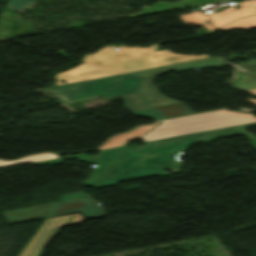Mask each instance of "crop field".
<instances>
[{"mask_svg": "<svg viewBox=\"0 0 256 256\" xmlns=\"http://www.w3.org/2000/svg\"><path fill=\"white\" fill-rule=\"evenodd\" d=\"M239 134L226 128L203 133L185 135L165 140L145 143L144 146L132 145L125 150L109 169V171L95 184L94 188H104L116 185L120 181L140 179L155 175H168L163 170L176 169L181 164L176 154L185 152L186 147L195 143H207L213 139Z\"/></svg>", "mask_w": 256, "mask_h": 256, "instance_id": "8a807250", "label": "crop field"}, {"mask_svg": "<svg viewBox=\"0 0 256 256\" xmlns=\"http://www.w3.org/2000/svg\"><path fill=\"white\" fill-rule=\"evenodd\" d=\"M142 80L143 78L139 76L125 74L53 87L47 90L59 97L65 103L71 104L93 97L111 99L124 95L136 94L139 92Z\"/></svg>", "mask_w": 256, "mask_h": 256, "instance_id": "ac0d7876", "label": "crop field"}, {"mask_svg": "<svg viewBox=\"0 0 256 256\" xmlns=\"http://www.w3.org/2000/svg\"><path fill=\"white\" fill-rule=\"evenodd\" d=\"M256 122L250 114L217 111L192 117L169 120L147 133L142 139L150 141L159 138L190 134L220 127Z\"/></svg>", "mask_w": 256, "mask_h": 256, "instance_id": "34b2d1b8", "label": "crop field"}, {"mask_svg": "<svg viewBox=\"0 0 256 256\" xmlns=\"http://www.w3.org/2000/svg\"><path fill=\"white\" fill-rule=\"evenodd\" d=\"M154 44L150 48L141 47H117L118 51H111L114 46L104 47L94 55H87L84 62L109 67L125 72L159 67L160 64L154 55Z\"/></svg>", "mask_w": 256, "mask_h": 256, "instance_id": "412701ff", "label": "crop field"}, {"mask_svg": "<svg viewBox=\"0 0 256 256\" xmlns=\"http://www.w3.org/2000/svg\"><path fill=\"white\" fill-rule=\"evenodd\" d=\"M225 65L228 64L221 57H217L182 64H176L131 74H138L146 78L142 84L140 94L142 95L143 99L147 102V104L151 108H153L169 104L180 103V101L164 97L156 87H153L156 76L172 70L184 71L192 68H214Z\"/></svg>", "mask_w": 256, "mask_h": 256, "instance_id": "f4fd0767", "label": "crop field"}, {"mask_svg": "<svg viewBox=\"0 0 256 256\" xmlns=\"http://www.w3.org/2000/svg\"><path fill=\"white\" fill-rule=\"evenodd\" d=\"M74 221H78L76 223H80L82 221V218L80 217L79 214L67 215L59 218L46 219L43 222V224L40 226V228L37 230V232L34 234V236L31 238V240L28 242V244L24 247V249L22 250L19 256H30L35 250V248L37 247V245L40 243L42 238L49 232L48 235L45 237V239L42 241V243L39 245L37 250L32 255V256H37L40 250L49 240V238L56 232L59 226L75 224V223H70Z\"/></svg>", "mask_w": 256, "mask_h": 256, "instance_id": "dd49c442", "label": "crop field"}, {"mask_svg": "<svg viewBox=\"0 0 256 256\" xmlns=\"http://www.w3.org/2000/svg\"><path fill=\"white\" fill-rule=\"evenodd\" d=\"M127 147L128 146H123L119 148L102 150V151H99L96 157L82 154V155H76L71 157L34 162L33 164H44V165L57 164V163H61L65 159H69L72 157H78L79 160L83 162H92V163L98 164L100 166L93 172V174L84 183V185L93 187L94 183L99 179V177L103 174V172L110 166L113 160L119 155V153L122 150H124Z\"/></svg>", "mask_w": 256, "mask_h": 256, "instance_id": "e52e79f7", "label": "crop field"}, {"mask_svg": "<svg viewBox=\"0 0 256 256\" xmlns=\"http://www.w3.org/2000/svg\"><path fill=\"white\" fill-rule=\"evenodd\" d=\"M76 212H81L85 219H95L106 216L104 210L97 209L92 204L91 197H88L60 202L49 218Z\"/></svg>", "mask_w": 256, "mask_h": 256, "instance_id": "d8731c3e", "label": "crop field"}, {"mask_svg": "<svg viewBox=\"0 0 256 256\" xmlns=\"http://www.w3.org/2000/svg\"><path fill=\"white\" fill-rule=\"evenodd\" d=\"M117 74H123V73L88 65V64H83L72 70L57 74L56 82H57V85H59L61 84L62 80H65L66 83H69V82H75V81H81V80H87V79H93V78H99V77H105V76H111V75H117Z\"/></svg>", "mask_w": 256, "mask_h": 256, "instance_id": "5a996713", "label": "crop field"}, {"mask_svg": "<svg viewBox=\"0 0 256 256\" xmlns=\"http://www.w3.org/2000/svg\"><path fill=\"white\" fill-rule=\"evenodd\" d=\"M55 204L56 202L17 210H11L3 212L2 214L10 224L42 219L49 214V212Z\"/></svg>", "mask_w": 256, "mask_h": 256, "instance_id": "3316defc", "label": "crop field"}, {"mask_svg": "<svg viewBox=\"0 0 256 256\" xmlns=\"http://www.w3.org/2000/svg\"><path fill=\"white\" fill-rule=\"evenodd\" d=\"M241 9L233 11V7L230 10H226L222 13L209 14L215 27L226 24L235 18L244 17L248 15L256 14V1L241 4Z\"/></svg>", "mask_w": 256, "mask_h": 256, "instance_id": "28ad6ade", "label": "crop field"}, {"mask_svg": "<svg viewBox=\"0 0 256 256\" xmlns=\"http://www.w3.org/2000/svg\"><path fill=\"white\" fill-rule=\"evenodd\" d=\"M155 125L151 126H143L139 127L130 133L118 135L116 137H112L107 143H105L102 147L98 148L97 150L113 148L125 145L130 139L137 140L142 135L146 134L149 130H151Z\"/></svg>", "mask_w": 256, "mask_h": 256, "instance_id": "d1516ede", "label": "crop field"}, {"mask_svg": "<svg viewBox=\"0 0 256 256\" xmlns=\"http://www.w3.org/2000/svg\"><path fill=\"white\" fill-rule=\"evenodd\" d=\"M153 111L160 119H166L194 113L190 108H188L183 103L154 108Z\"/></svg>", "mask_w": 256, "mask_h": 256, "instance_id": "22f410ed", "label": "crop field"}, {"mask_svg": "<svg viewBox=\"0 0 256 256\" xmlns=\"http://www.w3.org/2000/svg\"><path fill=\"white\" fill-rule=\"evenodd\" d=\"M156 53H157V55H158V57H159L163 66L208 57L207 55L191 56V55L174 54V53L169 52L167 50L158 51Z\"/></svg>", "mask_w": 256, "mask_h": 256, "instance_id": "cbeb9de0", "label": "crop field"}, {"mask_svg": "<svg viewBox=\"0 0 256 256\" xmlns=\"http://www.w3.org/2000/svg\"><path fill=\"white\" fill-rule=\"evenodd\" d=\"M232 87L243 91L256 89V75L245 73L236 68V78Z\"/></svg>", "mask_w": 256, "mask_h": 256, "instance_id": "5142ce71", "label": "crop field"}, {"mask_svg": "<svg viewBox=\"0 0 256 256\" xmlns=\"http://www.w3.org/2000/svg\"><path fill=\"white\" fill-rule=\"evenodd\" d=\"M57 157H60V156H58L56 154H52V153H43V154L27 156L20 160H15V161L0 160V168L12 166V165L19 164V163L34 162V161H40V160H45V159L57 158Z\"/></svg>", "mask_w": 256, "mask_h": 256, "instance_id": "d9b57169", "label": "crop field"}, {"mask_svg": "<svg viewBox=\"0 0 256 256\" xmlns=\"http://www.w3.org/2000/svg\"><path fill=\"white\" fill-rule=\"evenodd\" d=\"M256 27V15L249 16L235 22L229 23L218 29L220 30H229V29H248Z\"/></svg>", "mask_w": 256, "mask_h": 256, "instance_id": "733c2abd", "label": "crop field"}, {"mask_svg": "<svg viewBox=\"0 0 256 256\" xmlns=\"http://www.w3.org/2000/svg\"><path fill=\"white\" fill-rule=\"evenodd\" d=\"M120 99H122L124 101L126 108L130 111H136V110L148 108L145 105V103L141 100V98L138 94L120 97Z\"/></svg>", "mask_w": 256, "mask_h": 256, "instance_id": "4a817a6b", "label": "crop field"}, {"mask_svg": "<svg viewBox=\"0 0 256 256\" xmlns=\"http://www.w3.org/2000/svg\"><path fill=\"white\" fill-rule=\"evenodd\" d=\"M180 17L185 22V24H201L210 30L213 29L212 26L203 24L205 20H208V17L206 15H203L200 12H194L192 14L182 15Z\"/></svg>", "mask_w": 256, "mask_h": 256, "instance_id": "bc2a9ffb", "label": "crop field"}, {"mask_svg": "<svg viewBox=\"0 0 256 256\" xmlns=\"http://www.w3.org/2000/svg\"><path fill=\"white\" fill-rule=\"evenodd\" d=\"M34 0H10L8 8L13 10L26 9Z\"/></svg>", "mask_w": 256, "mask_h": 256, "instance_id": "214f88e0", "label": "crop field"}, {"mask_svg": "<svg viewBox=\"0 0 256 256\" xmlns=\"http://www.w3.org/2000/svg\"><path fill=\"white\" fill-rule=\"evenodd\" d=\"M238 67L247 72L256 73V62L240 64Z\"/></svg>", "mask_w": 256, "mask_h": 256, "instance_id": "92a150f3", "label": "crop field"}, {"mask_svg": "<svg viewBox=\"0 0 256 256\" xmlns=\"http://www.w3.org/2000/svg\"><path fill=\"white\" fill-rule=\"evenodd\" d=\"M251 125H256V124H251ZM246 126H248V125L234 126V127H230V128H232V129H234V130H236V131H238V132H240V133H242V134H244L248 137H251L250 134H248L247 132L244 131Z\"/></svg>", "mask_w": 256, "mask_h": 256, "instance_id": "dafd665d", "label": "crop field"}, {"mask_svg": "<svg viewBox=\"0 0 256 256\" xmlns=\"http://www.w3.org/2000/svg\"><path fill=\"white\" fill-rule=\"evenodd\" d=\"M85 195H88V194L83 193V192H79V193H75V194L62 196V197H60V200L74 198V197H80V196H85Z\"/></svg>", "mask_w": 256, "mask_h": 256, "instance_id": "00972430", "label": "crop field"}, {"mask_svg": "<svg viewBox=\"0 0 256 256\" xmlns=\"http://www.w3.org/2000/svg\"><path fill=\"white\" fill-rule=\"evenodd\" d=\"M134 113L139 114V115H144V116H150V117H153L154 119H156L150 109L142 110V111H136V112H134ZM156 120H157V119H156Z\"/></svg>", "mask_w": 256, "mask_h": 256, "instance_id": "a9b5d70f", "label": "crop field"}, {"mask_svg": "<svg viewBox=\"0 0 256 256\" xmlns=\"http://www.w3.org/2000/svg\"><path fill=\"white\" fill-rule=\"evenodd\" d=\"M234 56L252 59V58H250V57H245V56H241V55L232 54V55L230 56V59H229V60L232 61V59H233Z\"/></svg>", "mask_w": 256, "mask_h": 256, "instance_id": "4177f3b9", "label": "crop field"}, {"mask_svg": "<svg viewBox=\"0 0 256 256\" xmlns=\"http://www.w3.org/2000/svg\"><path fill=\"white\" fill-rule=\"evenodd\" d=\"M249 140H250V139H249ZM250 142H251L252 146L256 147V142H254V141H252V140H250Z\"/></svg>", "mask_w": 256, "mask_h": 256, "instance_id": "730fd06b", "label": "crop field"}, {"mask_svg": "<svg viewBox=\"0 0 256 256\" xmlns=\"http://www.w3.org/2000/svg\"><path fill=\"white\" fill-rule=\"evenodd\" d=\"M251 94L255 95L256 96V90H253V91H249Z\"/></svg>", "mask_w": 256, "mask_h": 256, "instance_id": "eef30255", "label": "crop field"}, {"mask_svg": "<svg viewBox=\"0 0 256 256\" xmlns=\"http://www.w3.org/2000/svg\"><path fill=\"white\" fill-rule=\"evenodd\" d=\"M251 139H253V140H255V141H256V138H251Z\"/></svg>", "mask_w": 256, "mask_h": 256, "instance_id": "ae1a2a85", "label": "crop field"}, {"mask_svg": "<svg viewBox=\"0 0 256 256\" xmlns=\"http://www.w3.org/2000/svg\"><path fill=\"white\" fill-rule=\"evenodd\" d=\"M256 54V50L253 51Z\"/></svg>", "mask_w": 256, "mask_h": 256, "instance_id": "d3111659", "label": "crop field"}]
</instances>
